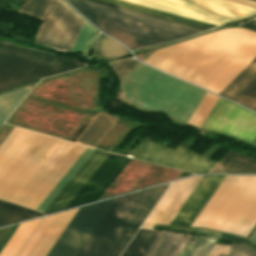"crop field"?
I'll use <instances>...</instances> for the list:
<instances>
[{"instance_id": "d32e631a", "label": "crop field", "mask_w": 256, "mask_h": 256, "mask_svg": "<svg viewBox=\"0 0 256 256\" xmlns=\"http://www.w3.org/2000/svg\"><path fill=\"white\" fill-rule=\"evenodd\" d=\"M50 0H28L19 12L41 19Z\"/></svg>"}, {"instance_id": "733c2abd", "label": "crop field", "mask_w": 256, "mask_h": 256, "mask_svg": "<svg viewBox=\"0 0 256 256\" xmlns=\"http://www.w3.org/2000/svg\"><path fill=\"white\" fill-rule=\"evenodd\" d=\"M136 193L116 198L76 256H92Z\"/></svg>"}, {"instance_id": "028f5c9d", "label": "crop field", "mask_w": 256, "mask_h": 256, "mask_svg": "<svg viewBox=\"0 0 256 256\" xmlns=\"http://www.w3.org/2000/svg\"><path fill=\"white\" fill-rule=\"evenodd\" d=\"M88 1L95 2V3H99V4H103V5H107V6H111V7H114V8H118V9H122V10L130 11V12H134V13H137V14H141V15H145V16H149V17L157 18V19H160V20H164V21H168V22H172V23L180 24V25H183V26H187V27H191V28H195V29H199V30H203V31L208 30V29H204V28H200V27L192 26V25H189V24H185V23H181V22L173 21V20H170V19H166V18H162V17L154 16V15H151V14H147V13H143V12H139V11L131 10V9H128V8H124V7H120V6L112 5V4L105 3V2H101V1H97V0H88Z\"/></svg>"}, {"instance_id": "d9b57169", "label": "crop field", "mask_w": 256, "mask_h": 256, "mask_svg": "<svg viewBox=\"0 0 256 256\" xmlns=\"http://www.w3.org/2000/svg\"><path fill=\"white\" fill-rule=\"evenodd\" d=\"M224 178L203 176L170 225L190 226Z\"/></svg>"}, {"instance_id": "92a150f3", "label": "crop field", "mask_w": 256, "mask_h": 256, "mask_svg": "<svg viewBox=\"0 0 256 256\" xmlns=\"http://www.w3.org/2000/svg\"><path fill=\"white\" fill-rule=\"evenodd\" d=\"M210 173H256V161L227 151Z\"/></svg>"}, {"instance_id": "4a817a6b", "label": "crop field", "mask_w": 256, "mask_h": 256, "mask_svg": "<svg viewBox=\"0 0 256 256\" xmlns=\"http://www.w3.org/2000/svg\"><path fill=\"white\" fill-rule=\"evenodd\" d=\"M77 210L54 215L26 256H45Z\"/></svg>"}, {"instance_id": "bc2a9ffb", "label": "crop field", "mask_w": 256, "mask_h": 256, "mask_svg": "<svg viewBox=\"0 0 256 256\" xmlns=\"http://www.w3.org/2000/svg\"><path fill=\"white\" fill-rule=\"evenodd\" d=\"M36 132L15 127L0 145V177L35 136Z\"/></svg>"}, {"instance_id": "5866460e", "label": "crop field", "mask_w": 256, "mask_h": 256, "mask_svg": "<svg viewBox=\"0 0 256 256\" xmlns=\"http://www.w3.org/2000/svg\"><path fill=\"white\" fill-rule=\"evenodd\" d=\"M214 247L215 245H210L207 243L202 245L187 242L178 256H208Z\"/></svg>"}, {"instance_id": "dafd665d", "label": "crop field", "mask_w": 256, "mask_h": 256, "mask_svg": "<svg viewBox=\"0 0 256 256\" xmlns=\"http://www.w3.org/2000/svg\"><path fill=\"white\" fill-rule=\"evenodd\" d=\"M188 238L160 232L144 256H177Z\"/></svg>"}, {"instance_id": "120bbe31", "label": "crop field", "mask_w": 256, "mask_h": 256, "mask_svg": "<svg viewBox=\"0 0 256 256\" xmlns=\"http://www.w3.org/2000/svg\"><path fill=\"white\" fill-rule=\"evenodd\" d=\"M52 217L53 215L41 218V220L38 222L34 230L31 232V234L26 239V241L24 242V244L22 245V247L19 249V251L15 256H25L28 253V251L30 250V248L32 247L34 242L37 240V238L39 237V235L44 230V228L46 227V225L48 224V222L51 220Z\"/></svg>"}, {"instance_id": "d3111659", "label": "crop field", "mask_w": 256, "mask_h": 256, "mask_svg": "<svg viewBox=\"0 0 256 256\" xmlns=\"http://www.w3.org/2000/svg\"><path fill=\"white\" fill-rule=\"evenodd\" d=\"M97 52L103 60H110L128 54V51L125 48L102 34H100V42L97 47Z\"/></svg>"}, {"instance_id": "425ffa30", "label": "crop field", "mask_w": 256, "mask_h": 256, "mask_svg": "<svg viewBox=\"0 0 256 256\" xmlns=\"http://www.w3.org/2000/svg\"><path fill=\"white\" fill-rule=\"evenodd\" d=\"M250 239H252V240L256 241V230H255V232L253 233V235L251 236V238H250Z\"/></svg>"}, {"instance_id": "0bd39190", "label": "crop field", "mask_w": 256, "mask_h": 256, "mask_svg": "<svg viewBox=\"0 0 256 256\" xmlns=\"http://www.w3.org/2000/svg\"><path fill=\"white\" fill-rule=\"evenodd\" d=\"M238 103L250 109L256 104V84L238 101Z\"/></svg>"}, {"instance_id": "b54c1fbb", "label": "crop field", "mask_w": 256, "mask_h": 256, "mask_svg": "<svg viewBox=\"0 0 256 256\" xmlns=\"http://www.w3.org/2000/svg\"><path fill=\"white\" fill-rule=\"evenodd\" d=\"M19 225H15L13 226V228L10 230V232L8 233V235L5 237V239L3 240V242L0 245V251L2 250V248L4 247V245L7 243V241L9 240V238L12 236V234L14 233V231L16 230V228Z\"/></svg>"}, {"instance_id": "8a807250", "label": "crop field", "mask_w": 256, "mask_h": 256, "mask_svg": "<svg viewBox=\"0 0 256 256\" xmlns=\"http://www.w3.org/2000/svg\"><path fill=\"white\" fill-rule=\"evenodd\" d=\"M256 57V33L225 29L155 52L145 63L219 94Z\"/></svg>"}, {"instance_id": "5a996713", "label": "crop field", "mask_w": 256, "mask_h": 256, "mask_svg": "<svg viewBox=\"0 0 256 256\" xmlns=\"http://www.w3.org/2000/svg\"><path fill=\"white\" fill-rule=\"evenodd\" d=\"M93 151L94 149H91L89 147L86 148V150L81 154V156L66 172V174L62 177V179L57 183V185L52 189V191L37 207L36 209L37 211L43 212L45 210V208L50 204V202L55 198V196L61 191V189L66 185V183L71 179V177L76 173V171L82 166V164L87 160V158L92 154ZM109 155L110 154H107L105 152L95 150L93 154L88 158V160L83 164V166L72 177V179L67 183V185L62 189V191L56 196V198L46 208L44 213L48 214L51 212L65 209L67 205L72 201V199L77 195V193L82 189V187L87 183V181L93 176V174L103 164V162L108 158Z\"/></svg>"}, {"instance_id": "1d83c4d3", "label": "crop field", "mask_w": 256, "mask_h": 256, "mask_svg": "<svg viewBox=\"0 0 256 256\" xmlns=\"http://www.w3.org/2000/svg\"><path fill=\"white\" fill-rule=\"evenodd\" d=\"M209 256H256V252L252 249L242 246H221L216 245Z\"/></svg>"}, {"instance_id": "28ad6ade", "label": "crop field", "mask_w": 256, "mask_h": 256, "mask_svg": "<svg viewBox=\"0 0 256 256\" xmlns=\"http://www.w3.org/2000/svg\"><path fill=\"white\" fill-rule=\"evenodd\" d=\"M58 141L37 133L0 178V198L10 201Z\"/></svg>"}, {"instance_id": "e1f06a70", "label": "crop field", "mask_w": 256, "mask_h": 256, "mask_svg": "<svg viewBox=\"0 0 256 256\" xmlns=\"http://www.w3.org/2000/svg\"><path fill=\"white\" fill-rule=\"evenodd\" d=\"M111 65L116 69L121 80H123L137 64L123 60L116 63H112Z\"/></svg>"}, {"instance_id": "73cf0c24", "label": "crop field", "mask_w": 256, "mask_h": 256, "mask_svg": "<svg viewBox=\"0 0 256 256\" xmlns=\"http://www.w3.org/2000/svg\"><path fill=\"white\" fill-rule=\"evenodd\" d=\"M252 1H256V0H252Z\"/></svg>"}, {"instance_id": "34b2d1b8", "label": "crop field", "mask_w": 256, "mask_h": 256, "mask_svg": "<svg viewBox=\"0 0 256 256\" xmlns=\"http://www.w3.org/2000/svg\"><path fill=\"white\" fill-rule=\"evenodd\" d=\"M67 1L100 30L131 49L203 32L83 0Z\"/></svg>"}, {"instance_id": "750c4746", "label": "crop field", "mask_w": 256, "mask_h": 256, "mask_svg": "<svg viewBox=\"0 0 256 256\" xmlns=\"http://www.w3.org/2000/svg\"><path fill=\"white\" fill-rule=\"evenodd\" d=\"M102 1L117 4V5H121V6H125V7H129V8H132V9H136V10H140V11H144V12H148V13H152V14H156V15H159V16H163V17H167V18H171V19H175V20H179V21H182V22H186V23L206 27V28H209V29H212V28L216 27L215 25H211V24L191 20V19H188V18H184V17L164 13V12H161V11H157V10H153V9H149V8H145V7H141V6H137V5H134V4H130V3H126V2H122V1H118V0H102Z\"/></svg>"}, {"instance_id": "3316defc", "label": "crop field", "mask_w": 256, "mask_h": 256, "mask_svg": "<svg viewBox=\"0 0 256 256\" xmlns=\"http://www.w3.org/2000/svg\"><path fill=\"white\" fill-rule=\"evenodd\" d=\"M165 12L213 23L223 24L231 21L213 16L185 0H122ZM194 4L219 16L238 19L256 13V9L240 6L221 0H191Z\"/></svg>"}, {"instance_id": "4177f3b9", "label": "crop field", "mask_w": 256, "mask_h": 256, "mask_svg": "<svg viewBox=\"0 0 256 256\" xmlns=\"http://www.w3.org/2000/svg\"><path fill=\"white\" fill-rule=\"evenodd\" d=\"M39 220L40 219H36L20 224L1 251L0 256H14Z\"/></svg>"}, {"instance_id": "cbeb9de0", "label": "crop field", "mask_w": 256, "mask_h": 256, "mask_svg": "<svg viewBox=\"0 0 256 256\" xmlns=\"http://www.w3.org/2000/svg\"><path fill=\"white\" fill-rule=\"evenodd\" d=\"M201 178L202 176L173 182L143 227L151 229L154 224L169 225Z\"/></svg>"}, {"instance_id": "ac0d7876", "label": "crop field", "mask_w": 256, "mask_h": 256, "mask_svg": "<svg viewBox=\"0 0 256 256\" xmlns=\"http://www.w3.org/2000/svg\"><path fill=\"white\" fill-rule=\"evenodd\" d=\"M126 101L141 110L161 111L187 123L206 92L139 63L122 81Z\"/></svg>"}, {"instance_id": "ae1a2a85", "label": "crop field", "mask_w": 256, "mask_h": 256, "mask_svg": "<svg viewBox=\"0 0 256 256\" xmlns=\"http://www.w3.org/2000/svg\"><path fill=\"white\" fill-rule=\"evenodd\" d=\"M97 31H95L86 21L70 51V53L78 54L83 52L84 56L88 55V49L93 44Z\"/></svg>"}, {"instance_id": "f4fd0767", "label": "crop field", "mask_w": 256, "mask_h": 256, "mask_svg": "<svg viewBox=\"0 0 256 256\" xmlns=\"http://www.w3.org/2000/svg\"><path fill=\"white\" fill-rule=\"evenodd\" d=\"M83 66L75 60L0 43V92Z\"/></svg>"}, {"instance_id": "214f88e0", "label": "crop field", "mask_w": 256, "mask_h": 256, "mask_svg": "<svg viewBox=\"0 0 256 256\" xmlns=\"http://www.w3.org/2000/svg\"><path fill=\"white\" fill-rule=\"evenodd\" d=\"M256 83V58L219 94L237 102Z\"/></svg>"}, {"instance_id": "5d738f31", "label": "crop field", "mask_w": 256, "mask_h": 256, "mask_svg": "<svg viewBox=\"0 0 256 256\" xmlns=\"http://www.w3.org/2000/svg\"><path fill=\"white\" fill-rule=\"evenodd\" d=\"M11 228L12 227H8L0 230V243L2 242V240L4 239V237L7 235V233Z\"/></svg>"}, {"instance_id": "d1516ede", "label": "crop field", "mask_w": 256, "mask_h": 256, "mask_svg": "<svg viewBox=\"0 0 256 256\" xmlns=\"http://www.w3.org/2000/svg\"><path fill=\"white\" fill-rule=\"evenodd\" d=\"M114 200L79 208L47 256H75Z\"/></svg>"}, {"instance_id": "412701ff", "label": "crop field", "mask_w": 256, "mask_h": 256, "mask_svg": "<svg viewBox=\"0 0 256 256\" xmlns=\"http://www.w3.org/2000/svg\"><path fill=\"white\" fill-rule=\"evenodd\" d=\"M256 224V176H226L191 226L247 237Z\"/></svg>"}, {"instance_id": "03da06ac", "label": "crop field", "mask_w": 256, "mask_h": 256, "mask_svg": "<svg viewBox=\"0 0 256 256\" xmlns=\"http://www.w3.org/2000/svg\"><path fill=\"white\" fill-rule=\"evenodd\" d=\"M226 1L256 8V2H252L248 0H226Z\"/></svg>"}, {"instance_id": "bd1437ed", "label": "crop field", "mask_w": 256, "mask_h": 256, "mask_svg": "<svg viewBox=\"0 0 256 256\" xmlns=\"http://www.w3.org/2000/svg\"><path fill=\"white\" fill-rule=\"evenodd\" d=\"M217 100L218 97L207 93L199 107L196 109V111L188 121V124L200 128V126L204 122L205 118L207 117V115L209 114Z\"/></svg>"}, {"instance_id": "22f410ed", "label": "crop field", "mask_w": 256, "mask_h": 256, "mask_svg": "<svg viewBox=\"0 0 256 256\" xmlns=\"http://www.w3.org/2000/svg\"><path fill=\"white\" fill-rule=\"evenodd\" d=\"M137 159L165 165L168 167L196 173H208L215 164L182 147L175 150L148 143Z\"/></svg>"}, {"instance_id": "00972430", "label": "crop field", "mask_w": 256, "mask_h": 256, "mask_svg": "<svg viewBox=\"0 0 256 256\" xmlns=\"http://www.w3.org/2000/svg\"><path fill=\"white\" fill-rule=\"evenodd\" d=\"M113 124L114 123L98 114L82 135L77 139L76 143L95 148Z\"/></svg>"}, {"instance_id": "c035e120", "label": "crop field", "mask_w": 256, "mask_h": 256, "mask_svg": "<svg viewBox=\"0 0 256 256\" xmlns=\"http://www.w3.org/2000/svg\"><path fill=\"white\" fill-rule=\"evenodd\" d=\"M220 239H224V240H228L231 241L233 243H245L248 244L249 246L256 248V244L245 239V238H237V237H233L231 235H221Z\"/></svg>"}, {"instance_id": "25e5ab78", "label": "crop field", "mask_w": 256, "mask_h": 256, "mask_svg": "<svg viewBox=\"0 0 256 256\" xmlns=\"http://www.w3.org/2000/svg\"><path fill=\"white\" fill-rule=\"evenodd\" d=\"M252 110L256 111V105L252 108Z\"/></svg>"}, {"instance_id": "b80d0937", "label": "crop field", "mask_w": 256, "mask_h": 256, "mask_svg": "<svg viewBox=\"0 0 256 256\" xmlns=\"http://www.w3.org/2000/svg\"><path fill=\"white\" fill-rule=\"evenodd\" d=\"M197 233L211 237L212 239L204 238V237H200V236H196V235L193 236L195 238H199V239H202V240H205L208 242H216L221 235L220 233L211 232V231H207V230H201V229H198Z\"/></svg>"}, {"instance_id": "eef30255", "label": "crop field", "mask_w": 256, "mask_h": 256, "mask_svg": "<svg viewBox=\"0 0 256 256\" xmlns=\"http://www.w3.org/2000/svg\"><path fill=\"white\" fill-rule=\"evenodd\" d=\"M158 234L140 229L122 256H143Z\"/></svg>"}, {"instance_id": "5142ce71", "label": "crop field", "mask_w": 256, "mask_h": 256, "mask_svg": "<svg viewBox=\"0 0 256 256\" xmlns=\"http://www.w3.org/2000/svg\"><path fill=\"white\" fill-rule=\"evenodd\" d=\"M129 160L111 154L67 208L97 201Z\"/></svg>"}, {"instance_id": "a9b5d70f", "label": "crop field", "mask_w": 256, "mask_h": 256, "mask_svg": "<svg viewBox=\"0 0 256 256\" xmlns=\"http://www.w3.org/2000/svg\"><path fill=\"white\" fill-rule=\"evenodd\" d=\"M44 215L0 200V227Z\"/></svg>"}, {"instance_id": "e52e79f7", "label": "crop field", "mask_w": 256, "mask_h": 256, "mask_svg": "<svg viewBox=\"0 0 256 256\" xmlns=\"http://www.w3.org/2000/svg\"><path fill=\"white\" fill-rule=\"evenodd\" d=\"M169 184L137 192L93 256H119Z\"/></svg>"}, {"instance_id": "dd49c442", "label": "crop field", "mask_w": 256, "mask_h": 256, "mask_svg": "<svg viewBox=\"0 0 256 256\" xmlns=\"http://www.w3.org/2000/svg\"><path fill=\"white\" fill-rule=\"evenodd\" d=\"M85 148L60 140L11 202L35 210Z\"/></svg>"}, {"instance_id": "d8731c3e", "label": "crop field", "mask_w": 256, "mask_h": 256, "mask_svg": "<svg viewBox=\"0 0 256 256\" xmlns=\"http://www.w3.org/2000/svg\"><path fill=\"white\" fill-rule=\"evenodd\" d=\"M42 20L35 43L62 52L70 51L85 21L63 0H51Z\"/></svg>"}, {"instance_id": "c21b1889", "label": "crop field", "mask_w": 256, "mask_h": 256, "mask_svg": "<svg viewBox=\"0 0 256 256\" xmlns=\"http://www.w3.org/2000/svg\"><path fill=\"white\" fill-rule=\"evenodd\" d=\"M97 114V113H96ZM96 114H91L89 118L83 123V125L78 129V131L73 135L70 141L75 142L76 139L80 136V134L84 131V129L88 126V124L92 121V119L96 116Z\"/></svg>"}, {"instance_id": "d23c7cc5", "label": "crop field", "mask_w": 256, "mask_h": 256, "mask_svg": "<svg viewBox=\"0 0 256 256\" xmlns=\"http://www.w3.org/2000/svg\"><path fill=\"white\" fill-rule=\"evenodd\" d=\"M242 26H245V27H248V28L256 30V19H254V20H252L250 22H247L245 24H242Z\"/></svg>"}, {"instance_id": "730fd06b", "label": "crop field", "mask_w": 256, "mask_h": 256, "mask_svg": "<svg viewBox=\"0 0 256 256\" xmlns=\"http://www.w3.org/2000/svg\"><path fill=\"white\" fill-rule=\"evenodd\" d=\"M31 89L32 87L27 86L23 89L0 95V126Z\"/></svg>"}]
</instances>
